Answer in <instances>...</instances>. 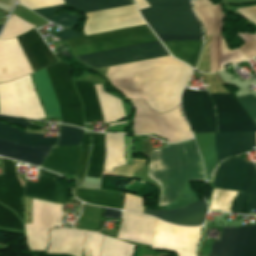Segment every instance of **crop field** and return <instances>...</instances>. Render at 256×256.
I'll use <instances>...</instances> for the list:
<instances>
[{
  "instance_id": "obj_43",
  "label": "crop field",
  "mask_w": 256,
  "mask_h": 256,
  "mask_svg": "<svg viewBox=\"0 0 256 256\" xmlns=\"http://www.w3.org/2000/svg\"><path fill=\"white\" fill-rule=\"evenodd\" d=\"M121 211L106 209L105 218H120Z\"/></svg>"
},
{
  "instance_id": "obj_21",
  "label": "crop field",
  "mask_w": 256,
  "mask_h": 256,
  "mask_svg": "<svg viewBox=\"0 0 256 256\" xmlns=\"http://www.w3.org/2000/svg\"><path fill=\"white\" fill-rule=\"evenodd\" d=\"M53 146L30 147L0 140V156L40 166Z\"/></svg>"
},
{
  "instance_id": "obj_42",
  "label": "crop field",
  "mask_w": 256,
  "mask_h": 256,
  "mask_svg": "<svg viewBox=\"0 0 256 256\" xmlns=\"http://www.w3.org/2000/svg\"><path fill=\"white\" fill-rule=\"evenodd\" d=\"M90 149V134H84V138L81 144V150Z\"/></svg>"
},
{
  "instance_id": "obj_27",
  "label": "crop field",
  "mask_w": 256,
  "mask_h": 256,
  "mask_svg": "<svg viewBox=\"0 0 256 256\" xmlns=\"http://www.w3.org/2000/svg\"><path fill=\"white\" fill-rule=\"evenodd\" d=\"M67 6L84 13L135 4L133 0H64Z\"/></svg>"
},
{
  "instance_id": "obj_23",
  "label": "crop field",
  "mask_w": 256,
  "mask_h": 256,
  "mask_svg": "<svg viewBox=\"0 0 256 256\" xmlns=\"http://www.w3.org/2000/svg\"><path fill=\"white\" fill-rule=\"evenodd\" d=\"M0 139L17 142L23 145L42 146L55 145L58 138L44 137V135L28 134L15 128L0 124Z\"/></svg>"
},
{
  "instance_id": "obj_29",
  "label": "crop field",
  "mask_w": 256,
  "mask_h": 256,
  "mask_svg": "<svg viewBox=\"0 0 256 256\" xmlns=\"http://www.w3.org/2000/svg\"><path fill=\"white\" fill-rule=\"evenodd\" d=\"M77 196L94 205L122 208V193H106L77 189Z\"/></svg>"
},
{
  "instance_id": "obj_28",
  "label": "crop field",
  "mask_w": 256,
  "mask_h": 256,
  "mask_svg": "<svg viewBox=\"0 0 256 256\" xmlns=\"http://www.w3.org/2000/svg\"><path fill=\"white\" fill-rule=\"evenodd\" d=\"M105 158L104 135L93 134V147L90 153L86 177L100 179Z\"/></svg>"
},
{
  "instance_id": "obj_10",
  "label": "crop field",
  "mask_w": 256,
  "mask_h": 256,
  "mask_svg": "<svg viewBox=\"0 0 256 256\" xmlns=\"http://www.w3.org/2000/svg\"><path fill=\"white\" fill-rule=\"evenodd\" d=\"M182 107L194 133L216 132L213 104L207 91L185 88Z\"/></svg>"
},
{
  "instance_id": "obj_34",
  "label": "crop field",
  "mask_w": 256,
  "mask_h": 256,
  "mask_svg": "<svg viewBox=\"0 0 256 256\" xmlns=\"http://www.w3.org/2000/svg\"><path fill=\"white\" fill-rule=\"evenodd\" d=\"M0 228L23 231L22 222L13 211L0 204Z\"/></svg>"
},
{
  "instance_id": "obj_44",
  "label": "crop field",
  "mask_w": 256,
  "mask_h": 256,
  "mask_svg": "<svg viewBox=\"0 0 256 256\" xmlns=\"http://www.w3.org/2000/svg\"><path fill=\"white\" fill-rule=\"evenodd\" d=\"M2 25H3V24H0V29H1Z\"/></svg>"
},
{
  "instance_id": "obj_3",
  "label": "crop field",
  "mask_w": 256,
  "mask_h": 256,
  "mask_svg": "<svg viewBox=\"0 0 256 256\" xmlns=\"http://www.w3.org/2000/svg\"><path fill=\"white\" fill-rule=\"evenodd\" d=\"M45 69L59 103L63 123L83 128L82 107L72 84L70 67L66 63H56ZM47 74L42 69L32 75L47 116H61Z\"/></svg>"
},
{
  "instance_id": "obj_30",
  "label": "crop field",
  "mask_w": 256,
  "mask_h": 256,
  "mask_svg": "<svg viewBox=\"0 0 256 256\" xmlns=\"http://www.w3.org/2000/svg\"><path fill=\"white\" fill-rule=\"evenodd\" d=\"M236 228L223 227L220 241H213L209 256H230Z\"/></svg>"
},
{
  "instance_id": "obj_36",
  "label": "crop field",
  "mask_w": 256,
  "mask_h": 256,
  "mask_svg": "<svg viewBox=\"0 0 256 256\" xmlns=\"http://www.w3.org/2000/svg\"><path fill=\"white\" fill-rule=\"evenodd\" d=\"M88 153L89 151H81L80 153V159H79L77 174L75 179V187L83 188L84 186V175H85V170L87 165Z\"/></svg>"
},
{
  "instance_id": "obj_7",
  "label": "crop field",
  "mask_w": 256,
  "mask_h": 256,
  "mask_svg": "<svg viewBox=\"0 0 256 256\" xmlns=\"http://www.w3.org/2000/svg\"><path fill=\"white\" fill-rule=\"evenodd\" d=\"M11 83L23 116L33 119L44 118L30 76L21 77ZM11 83L0 84V113L22 116Z\"/></svg>"
},
{
  "instance_id": "obj_19",
  "label": "crop field",
  "mask_w": 256,
  "mask_h": 256,
  "mask_svg": "<svg viewBox=\"0 0 256 256\" xmlns=\"http://www.w3.org/2000/svg\"><path fill=\"white\" fill-rule=\"evenodd\" d=\"M80 146H55L42 168L75 177Z\"/></svg>"
},
{
  "instance_id": "obj_9",
  "label": "crop field",
  "mask_w": 256,
  "mask_h": 256,
  "mask_svg": "<svg viewBox=\"0 0 256 256\" xmlns=\"http://www.w3.org/2000/svg\"><path fill=\"white\" fill-rule=\"evenodd\" d=\"M61 206L33 199L32 224H25L26 240L30 249L47 248V228L61 226Z\"/></svg>"
},
{
  "instance_id": "obj_20",
  "label": "crop field",
  "mask_w": 256,
  "mask_h": 256,
  "mask_svg": "<svg viewBox=\"0 0 256 256\" xmlns=\"http://www.w3.org/2000/svg\"><path fill=\"white\" fill-rule=\"evenodd\" d=\"M84 231L56 228L50 230V246L48 253H67L80 256Z\"/></svg>"
},
{
  "instance_id": "obj_1",
  "label": "crop field",
  "mask_w": 256,
  "mask_h": 256,
  "mask_svg": "<svg viewBox=\"0 0 256 256\" xmlns=\"http://www.w3.org/2000/svg\"><path fill=\"white\" fill-rule=\"evenodd\" d=\"M157 41L158 40L147 25L65 40L76 57ZM167 54L168 52L165 50L163 45H161L160 42H157L79 57L77 59L81 63L96 69Z\"/></svg>"
},
{
  "instance_id": "obj_22",
  "label": "crop field",
  "mask_w": 256,
  "mask_h": 256,
  "mask_svg": "<svg viewBox=\"0 0 256 256\" xmlns=\"http://www.w3.org/2000/svg\"><path fill=\"white\" fill-rule=\"evenodd\" d=\"M66 7L65 4L48 7L44 9L35 10L34 12L42 15L44 18H46L48 21L55 22L59 25L71 27L75 24H77L78 20L80 19L79 16L76 15H70L67 12L63 11L60 12L54 16H50L54 13H56L59 9ZM50 16V17H48ZM66 28L65 30L55 34L60 40L68 39V38H74L79 36H84L83 34L77 33L75 31H72L70 29Z\"/></svg>"
},
{
  "instance_id": "obj_11",
  "label": "crop field",
  "mask_w": 256,
  "mask_h": 256,
  "mask_svg": "<svg viewBox=\"0 0 256 256\" xmlns=\"http://www.w3.org/2000/svg\"><path fill=\"white\" fill-rule=\"evenodd\" d=\"M217 106L219 132L256 131V124L231 94H210Z\"/></svg>"
},
{
  "instance_id": "obj_26",
  "label": "crop field",
  "mask_w": 256,
  "mask_h": 256,
  "mask_svg": "<svg viewBox=\"0 0 256 256\" xmlns=\"http://www.w3.org/2000/svg\"><path fill=\"white\" fill-rule=\"evenodd\" d=\"M231 256H256V225L238 229Z\"/></svg>"
},
{
  "instance_id": "obj_5",
  "label": "crop field",
  "mask_w": 256,
  "mask_h": 256,
  "mask_svg": "<svg viewBox=\"0 0 256 256\" xmlns=\"http://www.w3.org/2000/svg\"><path fill=\"white\" fill-rule=\"evenodd\" d=\"M213 187L239 191L233 212L242 213L246 196L249 195L245 214L256 209V166L239 158L224 161L215 172Z\"/></svg>"
},
{
  "instance_id": "obj_12",
  "label": "crop field",
  "mask_w": 256,
  "mask_h": 256,
  "mask_svg": "<svg viewBox=\"0 0 256 256\" xmlns=\"http://www.w3.org/2000/svg\"><path fill=\"white\" fill-rule=\"evenodd\" d=\"M237 36L242 38L247 43L240 49L247 59L256 56V33L247 35L238 33ZM240 49L230 51L223 36H212L209 57H210V72H217L223 68L222 65L231 62L232 64L247 60Z\"/></svg>"
},
{
  "instance_id": "obj_38",
  "label": "crop field",
  "mask_w": 256,
  "mask_h": 256,
  "mask_svg": "<svg viewBox=\"0 0 256 256\" xmlns=\"http://www.w3.org/2000/svg\"><path fill=\"white\" fill-rule=\"evenodd\" d=\"M237 99L256 123V98L250 94Z\"/></svg>"
},
{
  "instance_id": "obj_24",
  "label": "crop field",
  "mask_w": 256,
  "mask_h": 256,
  "mask_svg": "<svg viewBox=\"0 0 256 256\" xmlns=\"http://www.w3.org/2000/svg\"><path fill=\"white\" fill-rule=\"evenodd\" d=\"M84 107L85 122L103 120L94 86L85 82L74 83Z\"/></svg>"
},
{
  "instance_id": "obj_31",
  "label": "crop field",
  "mask_w": 256,
  "mask_h": 256,
  "mask_svg": "<svg viewBox=\"0 0 256 256\" xmlns=\"http://www.w3.org/2000/svg\"><path fill=\"white\" fill-rule=\"evenodd\" d=\"M34 27L35 26L25 22L24 20L12 14L8 20L4 31L0 35V39H8L20 35Z\"/></svg>"
},
{
  "instance_id": "obj_40",
  "label": "crop field",
  "mask_w": 256,
  "mask_h": 256,
  "mask_svg": "<svg viewBox=\"0 0 256 256\" xmlns=\"http://www.w3.org/2000/svg\"><path fill=\"white\" fill-rule=\"evenodd\" d=\"M239 13L256 24V6L237 9Z\"/></svg>"
},
{
  "instance_id": "obj_6",
  "label": "crop field",
  "mask_w": 256,
  "mask_h": 256,
  "mask_svg": "<svg viewBox=\"0 0 256 256\" xmlns=\"http://www.w3.org/2000/svg\"><path fill=\"white\" fill-rule=\"evenodd\" d=\"M154 221L153 217L123 212L117 238L151 245ZM133 247L104 236L101 256H131Z\"/></svg>"
},
{
  "instance_id": "obj_8",
  "label": "crop field",
  "mask_w": 256,
  "mask_h": 256,
  "mask_svg": "<svg viewBox=\"0 0 256 256\" xmlns=\"http://www.w3.org/2000/svg\"><path fill=\"white\" fill-rule=\"evenodd\" d=\"M201 227L186 228L156 219L151 248L176 251L178 256H196Z\"/></svg>"
},
{
  "instance_id": "obj_41",
  "label": "crop field",
  "mask_w": 256,
  "mask_h": 256,
  "mask_svg": "<svg viewBox=\"0 0 256 256\" xmlns=\"http://www.w3.org/2000/svg\"><path fill=\"white\" fill-rule=\"evenodd\" d=\"M0 119H3V120H6V121H10V122H14V123H18V124H21L27 128H29L30 126V123L24 121V120H21L19 118H13V117H7V116H0Z\"/></svg>"
},
{
  "instance_id": "obj_17",
  "label": "crop field",
  "mask_w": 256,
  "mask_h": 256,
  "mask_svg": "<svg viewBox=\"0 0 256 256\" xmlns=\"http://www.w3.org/2000/svg\"><path fill=\"white\" fill-rule=\"evenodd\" d=\"M3 174L0 175V202L13 210L22 220V187L15 175L13 161L3 159Z\"/></svg>"
},
{
  "instance_id": "obj_13",
  "label": "crop field",
  "mask_w": 256,
  "mask_h": 256,
  "mask_svg": "<svg viewBox=\"0 0 256 256\" xmlns=\"http://www.w3.org/2000/svg\"><path fill=\"white\" fill-rule=\"evenodd\" d=\"M32 70L16 40H0V83L12 81Z\"/></svg>"
},
{
  "instance_id": "obj_32",
  "label": "crop field",
  "mask_w": 256,
  "mask_h": 256,
  "mask_svg": "<svg viewBox=\"0 0 256 256\" xmlns=\"http://www.w3.org/2000/svg\"><path fill=\"white\" fill-rule=\"evenodd\" d=\"M237 192L214 189L210 210H231Z\"/></svg>"
},
{
  "instance_id": "obj_4",
  "label": "crop field",
  "mask_w": 256,
  "mask_h": 256,
  "mask_svg": "<svg viewBox=\"0 0 256 256\" xmlns=\"http://www.w3.org/2000/svg\"><path fill=\"white\" fill-rule=\"evenodd\" d=\"M151 7L141 10L161 41L202 40L190 0H145Z\"/></svg>"
},
{
  "instance_id": "obj_39",
  "label": "crop field",
  "mask_w": 256,
  "mask_h": 256,
  "mask_svg": "<svg viewBox=\"0 0 256 256\" xmlns=\"http://www.w3.org/2000/svg\"><path fill=\"white\" fill-rule=\"evenodd\" d=\"M142 208L143 204L140 198L131 196L129 194L125 195V203L123 210L142 213Z\"/></svg>"
},
{
  "instance_id": "obj_35",
  "label": "crop field",
  "mask_w": 256,
  "mask_h": 256,
  "mask_svg": "<svg viewBox=\"0 0 256 256\" xmlns=\"http://www.w3.org/2000/svg\"><path fill=\"white\" fill-rule=\"evenodd\" d=\"M101 241L102 235L86 231V237L83 247L84 256H89L91 248V256H99Z\"/></svg>"
},
{
  "instance_id": "obj_18",
  "label": "crop field",
  "mask_w": 256,
  "mask_h": 256,
  "mask_svg": "<svg viewBox=\"0 0 256 256\" xmlns=\"http://www.w3.org/2000/svg\"><path fill=\"white\" fill-rule=\"evenodd\" d=\"M207 211L204 200L169 211H152L145 207V212L168 222L194 226L203 223Z\"/></svg>"
},
{
  "instance_id": "obj_37",
  "label": "crop field",
  "mask_w": 256,
  "mask_h": 256,
  "mask_svg": "<svg viewBox=\"0 0 256 256\" xmlns=\"http://www.w3.org/2000/svg\"><path fill=\"white\" fill-rule=\"evenodd\" d=\"M20 4L31 10L64 3L63 0H18Z\"/></svg>"
},
{
  "instance_id": "obj_2",
  "label": "crop field",
  "mask_w": 256,
  "mask_h": 256,
  "mask_svg": "<svg viewBox=\"0 0 256 256\" xmlns=\"http://www.w3.org/2000/svg\"><path fill=\"white\" fill-rule=\"evenodd\" d=\"M147 176L160 186L158 206L172 203L188 180L204 179L201 160L193 140L153 151Z\"/></svg>"
},
{
  "instance_id": "obj_14",
  "label": "crop field",
  "mask_w": 256,
  "mask_h": 256,
  "mask_svg": "<svg viewBox=\"0 0 256 256\" xmlns=\"http://www.w3.org/2000/svg\"><path fill=\"white\" fill-rule=\"evenodd\" d=\"M25 196L50 202H69V192L63 180L45 172H40L37 183L26 182Z\"/></svg>"
},
{
  "instance_id": "obj_16",
  "label": "crop field",
  "mask_w": 256,
  "mask_h": 256,
  "mask_svg": "<svg viewBox=\"0 0 256 256\" xmlns=\"http://www.w3.org/2000/svg\"><path fill=\"white\" fill-rule=\"evenodd\" d=\"M213 144L220 162L228 155H237L255 147V132L214 133Z\"/></svg>"
},
{
  "instance_id": "obj_15",
  "label": "crop field",
  "mask_w": 256,
  "mask_h": 256,
  "mask_svg": "<svg viewBox=\"0 0 256 256\" xmlns=\"http://www.w3.org/2000/svg\"><path fill=\"white\" fill-rule=\"evenodd\" d=\"M17 39L34 72L57 62L35 28L17 36Z\"/></svg>"
},
{
  "instance_id": "obj_33",
  "label": "crop field",
  "mask_w": 256,
  "mask_h": 256,
  "mask_svg": "<svg viewBox=\"0 0 256 256\" xmlns=\"http://www.w3.org/2000/svg\"><path fill=\"white\" fill-rule=\"evenodd\" d=\"M83 138V130L71 126L62 125L60 140L57 145H80Z\"/></svg>"
},
{
  "instance_id": "obj_25",
  "label": "crop field",
  "mask_w": 256,
  "mask_h": 256,
  "mask_svg": "<svg viewBox=\"0 0 256 256\" xmlns=\"http://www.w3.org/2000/svg\"><path fill=\"white\" fill-rule=\"evenodd\" d=\"M176 58L188 63L193 68L201 50L202 41L163 42Z\"/></svg>"
}]
</instances>
